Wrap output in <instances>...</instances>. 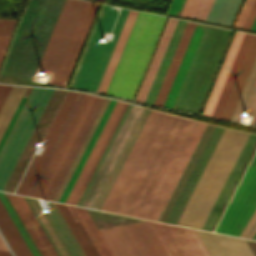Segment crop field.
<instances>
[{
  "mask_svg": "<svg viewBox=\"0 0 256 256\" xmlns=\"http://www.w3.org/2000/svg\"><path fill=\"white\" fill-rule=\"evenodd\" d=\"M12 85L0 84V108Z\"/></svg>",
  "mask_w": 256,
  "mask_h": 256,
  "instance_id": "42",
  "label": "crop field"
},
{
  "mask_svg": "<svg viewBox=\"0 0 256 256\" xmlns=\"http://www.w3.org/2000/svg\"><path fill=\"white\" fill-rule=\"evenodd\" d=\"M99 4L87 1L53 84L65 87Z\"/></svg>",
  "mask_w": 256,
  "mask_h": 256,
  "instance_id": "14",
  "label": "crop field"
},
{
  "mask_svg": "<svg viewBox=\"0 0 256 256\" xmlns=\"http://www.w3.org/2000/svg\"><path fill=\"white\" fill-rule=\"evenodd\" d=\"M250 30L256 31V18Z\"/></svg>",
  "mask_w": 256,
  "mask_h": 256,
  "instance_id": "47",
  "label": "crop field"
},
{
  "mask_svg": "<svg viewBox=\"0 0 256 256\" xmlns=\"http://www.w3.org/2000/svg\"><path fill=\"white\" fill-rule=\"evenodd\" d=\"M98 99H99V97L95 96V98H94V100H93V102H92V104H91V106H90V108H89V110H88L80 128H79V130L77 131V133H76V135H75V137H74V139H73V141H72V143H71V145H70V147H69V149H68V151H67V153H66V155H65V157L62 161V163L60 164V166H59V168H58V170H57V172H56V174H55V176H54V178H53V180H52V182H51V184H50V186H49V188H48V190H47V192L44 196L45 199H48V197H49V195H50V193H51V191H52V189H53V187H54V185H55V183H56V181H57V179H58V177H59V175H60V173H61V171L64 167V165L66 164V162H67V160H68V158H69V156H70V154H71V152H72V150H73L81 132L83 131V129L85 127V125H86V123H87V121H88V119H89V117H90Z\"/></svg>",
  "mask_w": 256,
  "mask_h": 256,
  "instance_id": "30",
  "label": "crop field"
},
{
  "mask_svg": "<svg viewBox=\"0 0 256 256\" xmlns=\"http://www.w3.org/2000/svg\"><path fill=\"white\" fill-rule=\"evenodd\" d=\"M226 129L207 125L159 221L180 223ZM248 133L227 129L180 225L201 229Z\"/></svg>",
  "mask_w": 256,
  "mask_h": 256,
  "instance_id": "2",
  "label": "crop field"
},
{
  "mask_svg": "<svg viewBox=\"0 0 256 256\" xmlns=\"http://www.w3.org/2000/svg\"><path fill=\"white\" fill-rule=\"evenodd\" d=\"M103 100H104V98L102 99V97H100V99H99V101H98V103H97V105H96V107H95V109H94V111H93L85 129H84V131L82 132V134H81V136H80V138H79V140H78V142H77V144H76V146H75L67 164L65 165V167H64V169H63V171H62V173H61V175H60V177H59V179H58V181H57V183H56V185H55V187H54V189H53V191H52V193L49 197L50 200H53V198H54V196H55V194H56V192H57V190H58V188H59V186H60L68 168H69V166L71 165V163H72V161H73V159H74V157H75V155H76V153H77V151H78L86 133L88 132V130L90 128V126H91V124H92V122H93V120H94V118H95Z\"/></svg>",
  "mask_w": 256,
  "mask_h": 256,
  "instance_id": "31",
  "label": "crop field"
},
{
  "mask_svg": "<svg viewBox=\"0 0 256 256\" xmlns=\"http://www.w3.org/2000/svg\"><path fill=\"white\" fill-rule=\"evenodd\" d=\"M128 11L121 10L112 31L115 33L112 43L102 44L99 40L104 31H111L117 11L110 6H101L69 86L97 90Z\"/></svg>",
  "mask_w": 256,
  "mask_h": 256,
  "instance_id": "7",
  "label": "crop field"
},
{
  "mask_svg": "<svg viewBox=\"0 0 256 256\" xmlns=\"http://www.w3.org/2000/svg\"><path fill=\"white\" fill-rule=\"evenodd\" d=\"M82 96H83V94L78 93V95H77V97H76V99H75V101H74V103H73V105H72V107H71V109H70V111H69V113H68V115H67V117H66V119L63 123V125H62V127L60 128V130H59V132H58V134H57V136H56V138H55V140H54V142H53V144H52V146H51V148H50V150H49V152H48V154L45 158V160L43 161V163H42V165H41V167H40L32 185H31L27 195L32 196V194H33V192H34V190H35V188H36V186H37V184H38V182H39V180H40V178H41V176H42V174H43V172H44V170H45V168L48 164V162L50 161V159H51V157H52V155H53V153H54V151H55V149H56L64 131H65V129L68 126V124H69V122H70V120H71V118H72V116H73V114H74Z\"/></svg>",
  "mask_w": 256,
  "mask_h": 256,
  "instance_id": "28",
  "label": "crop field"
},
{
  "mask_svg": "<svg viewBox=\"0 0 256 256\" xmlns=\"http://www.w3.org/2000/svg\"><path fill=\"white\" fill-rule=\"evenodd\" d=\"M255 16H256V0H254L253 2V5L249 11V14L242 28L249 30L254 21Z\"/></svg>",
  "mask_w": 256,
  "mask_h": 256,
  "instance_id": "40",
  "label": "crop field"
},
{
  "mask_svg": "<svg viewBox=\"0 0 256 256\" xmlns=\"http://www.w3.org/2000/svg\"><path fill=\"white\" fill-rule=\"evenodd\" d=\"M0 250H6L8 251L7 247L5 246L4 242L2 241L1 237H0Z\"/></svg>",
  "mask_w": 256,
  "mask_h": 256,
  "instance_id": "45",
  "label": "crop field"
},
{
  "mask_svg": "<svg viewBox=\"0 0 256 256\" xmlns=\"http://www.w3.org/2000/svg\"><path fill=\"white\" fill-rule=\"evenodd\" d=\"M138 12L130 10L97 91L105 93Z\"/></svg>",
  "mask_w": 256,
  "mask_h": 256,
  "instance_id": "22",
  "label": "crop field"
},
{
  "mask_svg": "<svg viewBox=\"0 0 256 256\" xmlns=\"http://www.w3.org/2000/svg\"><path fill=\"white\" fill-rule=\"evenodd\" d=\"M10 252L0 251V256H10Z\"/></svg>",
  "mask_w": 256,
  "mask_h": 256,
  "instance_id": "46",
  "label": "crop field"
},
{
  "mask_svg": "<svg viewBox=\"0 0 256 256\" xmlns=\"http://www.w3.org/2000/svg\"><path fill=\"white\" fill-rule=\"evenodd\" d=\"M205 127L151 110L101 209L158 221Z\"/></svg>",
  "mask_w": 256,
  "mask_h": 256,
  "instance_id": "1",
  "label": "crop field"
},
{
  "mask_svg": "<svg viewBox=\"0 0 256 256\" xmlns=\"http://www.w3.org/2000/svg\"><path fill=\"white\" fill-rule=\"evenodd\" d=\"M85 2L83 0H65L32 80L36 81L38 72L43 70L50 74L47 83H53Z\"/></svg>",
  "mask_w": 256,
  "mask_h": 256,
  "instance_id": "9",
  "label": "crop field"
},
{
  "mask_svg": "<svg viewBox=\"0 0 256 256\" xmlns=\"http://www.w3.org/2000/svg\"><path fill=\"white\" fill-rule=\"evenodd\" d=\"M196 24L188 22L154 105L162 107Z\"/></svg>",
  "mask_w": 256,
  "mask_h": 256,
  "instance_id": "19",
  "label": "crop field"
},
{
  "mask_svg": "<svg viewBox=\"0 0 256 256\" xmlns=\"http://www.w3.org/2000/svg\"><path fill=\"white\" fill-rule=\"evenodd\" d=\"M35 90H36V88L33 87V89L31 91L29 97L27 98V100H26V102H25V104H24V106H23V108H22V110H21V112H20V114H19V116H18V118H17V120H16V122H15V124H14V126H13V128H12V130H11V132H10L6 142H5V144H4V146H3V148L1 149V151H0V159H1L5 149L7 147L11 137L13 136V134H14V132H15V130H16V128H17V126H18V124H19V122H20V120H21V118H22V116H23V114H24V112H25V110H26V108H27V106H28L32 96H33V94H34V92H35Z\"/></svg>",
  "mask_w": 256,
  "mask_h": 256,
  "instance_id": "36",
  "label": "crop field"
},
{
  "mask_svg": "<svg viewBox=\"0 0 256 256\" xmlns=\"http://www.w3.org/2000/svg\"><path fill=\"white\" fill-rule=\"evenodd\" d=\"M25 198L28 201L33 212L35 213L36 217L38 218L40 224L45 230L47 236L49 237L59 256H100L93 243L91 242L90 238L88 237L87 233L85 232L84 228L82 227L80 223L81 221L87 232L89 233L91 239L93 240L94 244L96 245L101 256H113L101 234L99 233L98 229L96 228L95 224L93 223L92 219L90 218L89 214L87 213L86 209L72 206V208L81 220L79 222L71 206L67 205L75 221H78L75 222L66 205L55 203L62 216L64 217L66 223L68 224L69 228L71 229L72 233L74 234L75 238L77 239L78 243L80 244L81 248L83 249L85 253L84 255L82 249L80 248L79 244L77 243L76 239L74 238L73 234L65 223L54 202L48 203L49 207L52 210V212L48 214V216L51 219L56 230L58 231L59 235L61 236L69 252L71 253L70 255L60 236L52 225L50 219L48 218L47 214L42 211L37 199L28 197Z\"/></svg>",
  "mask_w": 256,
  "mask_h": 256,
  "instance_id": "3",
  "label": "crop field"
},
{
  "mask_svg": "<svg viewBox=\"0 0 256 256\" xmlns=\"http://www.w3.org/2000/svg\"><path fill=\"white\" fill-rule=\"evenodd\" d=\"M232 32L205 26L172 108L199 113Z\"/></svg>",
  "mask_w": 256,
  "mask_h": 256,
  "instance_id": "4",
  "label": "crop field"
},
{
  "mask_svg": "<svg viewBox=\"0 0 256 256\" xmlns=\"http://www.w3.org/2000/svg\"><path fill=\"white\" fill-rule=\"evenodd\" d=\"M242 0H214L205 21L230 26Z\"/></svg>",
  "mask_w": 256,
  "mask_h": 256,
  "instance_id": "26",
  "label": "crop field"
},
{
  "mask_svg": "<svg viewBox=\"0 0 256 256\" xmlns=\"http://www.w3.org/2000/svg\"><path fill=\"white\" fill-rule=\"evenodd\" d=\"M89 97H90V95L84 94V96H83V98H82V100H81V102H80V104H79V106H78V108H77V110H76L68 128L66 129V131H65V133H64V135H63V137H62V139H61V141H60V143H59L51 161L49 162V164H48V166H47V168H46V170H45V172H44V174H43V176H42V178H41V180H40V182H39V184H38V186H37V188H36V190L33 194V197H37V198L39 197V195H40V193H41V191H42V189H43V187H44V185H45V183H46V181H47V179H48V177H49V175H50V173H51V171H52V169L55 165V163L57 162V160H58V158H59V156H60V154H61V152H62V150H63L71 132H72V130L75 127V125H76V123H77V121H78V119H79V117H80V115H81Z\"/></svg>",
  "mask_w": 256,
  "mask_h": 256,
  "instance_id": "25",
  "label": "crop field"
},
{
  "mask_svg": "<svg viewBox=\"0 0 256 256\" xmlns=\"http://www.w3.org/2000/svg\"><path fill=\"white\" fill-rule=\"evenodd\" d=\"M244 33H235L202 115L210 117Z\"/></svg>",
  "mask_w": 256,
  "mask_h": 256,
  "instance_id": "21",
  "label": "crop field"
},
{
  "mask_svg": "<svg viewBox=\"0 0 256 256\" xmlns=\"http://www.w3.org/2000/svg\"><path fill=\"white\" fill-rule=\"evenodd\" d=\"M173 1H172V3H173ZM184 2H185V0H175L174 3H173V6H172V3H171L167 13L169 12V10H170V8L172 6V8H171L169 13L178 16L180 11H181V9H182V7H183Z\"/></svg>",
  "mask_w": 256,
  "mask_h": 256,
  "instance_id": "41",
  "label": "crop field"
},
{
  "mask_svg": "<svg viewBox=\"0 0 256 256\" xmlns=\"http://www.w3.org/2000/svg\"><path fill=\"white\" fill-rule=\"evenodd\" d=\"M256 219V210L254 212V214L252 215V217L250 218V220L248 221L247 225L245 226V228L243 229L242 233L240 234V236L245 237V235L247 234L248 230L250 229V227L252 226L253 222Z\"/></svg>",
  "mask_w": 256,
  "mask_h": 256,
  "instance_id": "44",
  "label": "crop field"
},
{
  "mask_svg": "<svg viewBox=\"0 0 256 256\" xmlns=\"http://www.w3.org/2000/svg\"><path fill=\"white\" fill-rule=\"evenodd\" d=\"M255 232H256V228H255V230L253 231V233L251 234L250 239H252V237L254 236Z\"/></svg>",
  "mask_w": 256,
  "mask_h": 256,
  "instance_id": "49",
  "label": "crop field"
},
{
  "mask_svg": "<svg viewBox=\"0 0 256 256\" xmlns=\"http://www.w3.org/2000/svg\"><path fill=\"white\" fill-rule=\"evenodd\" d=\"M126 106H127V104L125 103L123 108H122V110H121V112H120V114H119V116H118V118H117V120H116V122H115V124H114V126H113V128H112V130H111V132H110V134H109V136L107 137V139H106V141H105V143H104L100 153L98 154V156H97V158H96V160H95L91 170L89 171V173H88V175H87V177H86L82 187L80 188V190H79V192H78V194H77V196H76V198H75V200L73 202L74 205H76V203H77V201H78V199H79V197H80V195H81V193H82V191H83L87 181L89 180V178H90V176H91V174H92V172H93V170H94V168H95V166H96V164H97L101 154L103 153V151H104V149H105V147H106V145H107V143H108V141H109V139H110L114 129L116 128V126H117V124H118V122H119V120H120V118H121V116H122Z\"/></svg>",
  "mask_w": 256,
  "mask_h": 256,
  "instance_id": "35",
  "label": "crop field"
},
{
  "mask_svg": "<svg viewBox=\"0 0 256 256\" xmlns=\"http://www.w3.org/2000/svg\"><path fill=\"white\" fill-rule=\"evenodd\" d=\"M54 89L37 88L13 138L0 161V190H3Z\"/></svg>",
  "mask_w": 256,
  "mask_h": 256,
  "instance_id": "11",
  "label": "crop field"
},
{
  "mask_svg": "<svg viewBox=\"0 0 256 256\" xmlns=\"http://www.w3.org/2000/svg\"><path fill=\"white\" fill-rule=\"evenodd\" d=\"M169 256H253L242 238L150 222Z\"/></svg>",
  "mask_w": 256,
  "mask_h": 256,
  "instance_id": "6",
  "label": "crop field"
},
{
  "mask_svg": "<svg viewBox=\"0 0 256 256\" xmlns=\"http://www.w3.org/2000/svg\"><path fill=\"white\" fill-rule=\"evenodd\" d=\"M7 197V196H6ZM5 197L4 193L0 192V200L3 203L4 207L6 208L8 214L10 215L11 219L13 220L14 224L16 225L18 231L20 232L21 236L23 237L25 243L27 244L28 248L30 249L33 256H40L39 252L37 251L36 247L34 246L33 242L30 239V235L28 236L26 230L24 229L23 225L21 224L20 220L17 217V213L15 214L14 208L12 209L10 203L8 202L7 198Z\"/></svg>",
  "mask_w": 256,
  "mask_h": 256,
  "instance_id": "32",
  "label": "crop field"
},
{
  "mask_svg": "<svg viewBox=\"0 0 256 256\" xmlns=\"http://www.w3.org/2000/svg\"><path fill=\"white\" fill-rule=\"evenodd\" d=\"M122 105H123V103L118 102V101L114 105V107H113V109H112V111H111V113H110L102 131L100 132V134H99V136H98V138H97V140H96L88 158L86 159V161H85V163H84V165H83L75 183L73 184V186H72V188H71V190H70V192H69V194H68V196L65 200L66 203L72 204V202H73L80 186L82 185L90 167L92 166L100 148L102 147V145H103V143H104V141H105V139H106V137H107V135H108V133H109V131H110V129H111V127H112V125H113L121 107H122Z\"/></svg>",
  "mask_w": 256,
  "mask_h": 256,
  "instance_id": "18",
  "label": "crop field"
},
{
  "mask_svg": "<svg viewBox=\"0 0 256 256\" xmlns=\"http://www.w3.org/2000/svg\"><path fill=\"white\" fill-rule=\"evenodd\" d=\"M256 146V135L249 134L226 182L224 183L202 229L212 231L227 203L251 153Z\"/></svg>",
  "mask_w": 256,
  "mask_h": 256,
  "instance_id": "15",
  "label": "crop field"
},
{
  "mask_svg": "<svg viewBox=\"0 0 256 256\" xmlns=\"http://www.w3.org/2000/svg\"><path fill=\"white\" fill-rule=\"evenodd\" d=\"M93 98H94V96L91 95V97H90V99H89V101H88V103H87V105H86V107H85V109H84V111H83V113H82V115H81V117H80V119H79V121H78V123H77V125H76V127L74 129V131H73V133H72V135L70 136V138H69V140H68V142H67V144H66V146H65V148H64V150H63V152H62V154H61V156H60V158H59V160H58V162H57V164H56V166H55V168H54V170H53V172H52V174H51V176L49 178V180H48V182H51V180H52V178H53V176H54V174H55V172H56V170H57V168H58V166H59V164H60L64 154L66 153V151H67V149H68V147H69V145H70V143H71V141H72V139H73V137H74L78 127H79V125L81 124V122H82V120H83V118L85 116V114H86V112H87V110H88V108H89ZM48 185H49V183H46V185H45V187H44V189H43V191H42V193L40 195L41 198L43 197V195H44Z\"/></svg>",
  "mask_w": 256,
  "mask_h": 256,
  "instance_id": "34",
  "label": "crop field"
},
{
  "mask_svg": "<svg viewBox=\"0 0 256 256\" xmlns=\"http://www.w3.org/2000/svg\"><path fill=\"white\" fill-rule=\"evenodd\" d=\"M26 87L12 86L0 110V139L25 91Z\"/></svg>",
  "mask_w": 256,
  "mask_h": 256,
  "instance_id": "27",
  "label": "crop field"
},
{
  "mask_svg": "<svg viewBox=\"0 0 256 256\" xmlns=\"http://www.w3.org/2000/svg\"><path fill=\"white\" fill-rule=\"evenodd\" d=\"M251 163L256 164V154H255V156H254V158H253Z\"/></svg>",
  "mask_w": 256,
  "mask_h": 256,
  "instance_id": "48",
  "label": "crop field"
},
{
  "mask_svg": "<svg viewBox=\"0 0 256 256\" xmlns=\"http://www.w3.org/2000/svg\"><path fill=\"white\" fill-rule=\"evenodd\" d=\"M256 209V166L249 165L216 232L239 236Z\"/></svg>",
  "mask_w": 256,
  "mask_h": 256,
  "instance_id": "12",
  "label": "crop field"
},
{
  "mask_svg": "<svg viewBox=\"0 0 256 256\" xmlns=\"http://www.w3.org/2000/svg\"><path fill=\"white\" fill-rule=\"evenodd\" d=\"M177 20L169 18L135 101L143 103Z\"/></svg>",
  "mask_w": 256,
  "mask_h": 256,
  "instance_id": "20",
  "label": "crop field"
},
{
  "mask_svg": "<svg viewBox=\"0 0 256 256\" xmlns=\"http://www.w3.org/2000/svg\"><path fill=\"white\" fill-rule=\"evenodd\" d=\"M255 55L256 35L245 33L211 117L230 119Z\"/></svg>",
  "mask_w": 256,
  "mask_h": 256,
  "instance_id": "10",
  "label": "crop field"
},
{
  "mask_svg": "<svg viewBox=\"0 0 256 256\" xmlns=\"http://www.w3.org/2000/svg\"><path fill=\"white\" fill-rule=\"evenodd\" d=\"M65 91L54 90L39 122L37 123L21 157L19 158L4 190L13 192L20 176L22 175L37 143H39L64 95Z\"/></svg>",
  "mask_w": 256,
  "mask_h": 256,
  "instance_id": "13",
  "label": "crop field"
},
{
  "mask_svg": "<svg viewBox=\"0 0 256 256\" xmlns=\"http://www.w3.org/2000/svg\"><path fill=\"white\" fill-rule=\"evenodd\" d=\"M165 19L138 13L106 93L133 98Z\"/></svg>",
  "mask_w": 256,
  "mask_h": 256,
  "instance_id": "5",
  "label": "crop field"
},
{
  "mask_svg": "<svg viewBox=\"0 0 256 256\" xmlns=\"http://www.w3.org/2000/svg\"><path fill=\"white\" fill-rule=\"evenodd\" d=\"M205 25L197 24L163 107L171 108Z\"/></svg>",
  "mask_w": 256,
  "mask_h": 256,
  "instance_id": "23",
  "label": "crop field"
},
{
  "mask_svg": "<svg viewBox=\"0 0 256 256\" xmlns=\"http://www.w3.org/2000/svg\"><path fill=\"white\" fill-rule=\"evenodd\" d=\"M255 237H256V234H255V236L253 237V239H255Z\"/></svg>",
  "mask_w": 256,
  "mask_h": 256,
  "instance_id": "50",
  "label": "crop field"
},
{
  "mask_svg": "<svg viewBox=\"0 0 256 256\" xmlns=\"http://www.w3.org/2000/svg\"><path fill=\"white\" fill-rule=\"evenodd\" d=\"M249 3H250V0H245L243 6H242V8H241V11H240V13H239V15H238V17H237V20H236V22H235V24H234L233 27H236V28L239 27V25H240V23H241V21H242V18H243V16H244L245 12H246V9H247Z\"/></svg>",
  "mask_w": 256,
  "mask_h": 256,
  "instance_id": "43",
  "label": "crop field"
},
{
  "mask_svg": "<svg viewBox=\"0 0 256 256\" xmlns=\"http://www.w3.org/2000/svg\"><path fill=\"white\" fill-rule=\"evenodd\" d=\"M16 20L0 19V62Z\"/></svg>",
  "mask_w": 256,
  "mask_h": 256,
  "instance_id": "33",
  "label": "crop field"
},
{
  "mask_svg": "<svg viewBox=\"0 0 256 256\" xmlns=\"http://www.w3.org/2000/svg\"><path fill=\"white\" fill-rule=\"evenodd\" d=\"M114 103H115V101L110 100V102H109V104H108V106H107V108H106V110H105V112H104V114H103V116H102V118H101V120H100V122H99V124H98V126H97V128H96V130H95V132H94V134H93V136H92L88 146H87V148H86V150L84 151V153H83V155H82V157H81V159H80V161H79V163H78V165H77V167H76V169H75V171H74V173H73V175H72V177H71V179H70V181H69V183H68V185H67V187H66V189H65V191H64V193H63V195L61 197V199H60L61 202H64V200H65V198H66V196H67V194H68V192H69V190H70V188H71V186H72V184H73L77 174L79 173V171H80V169H81V167H82V165H83V163H84V161H85L89 151L91 150V148H92V146H93V144H94V142H95V140H96V138H97V136H98V134H99V132H100V130L102 128V126L104 125V123H105V121H106V119H107V117H108V115H109V113H110Z\"/></svg>",
  "mask_w": 256,
  "mask_h": 256,
  "instance_id": "29",
  "label": "crop field"
},
{
  "mask_svg": "<svg viewBox=\"0 0 256 256\" xmlns=\"http://www.w3.org/2000/svg\"><path fill=\"white\" fill-rule=\"evenodd\" d=\"M100 232L114 256H168L148 221Z\"/></svg>",
  "mask_w": 256,
  "mask_h": 256,
  "instance_id": "8",
  "label": "crop field"
},
{
  "mask_svg": "<svg viewBox=\"0 0 256 256\" xmlns=\"http://www.w3.org/2000/svg\"><path fill=\"white\" fill-rule=\"evenodd\" d=\"M77 93H73V92H67L45 138L43 141H45L47 143L41 157L35 156L27 174L25 175L17 193L18 194H23L26 195L42 161L44 160L59 128L61 127L75 97H76Z\"/></svg>",
  "mask_w": 256,
  "mask_h": 256,
  "instance_id": "17",
  "label": "crop field"
},
{
  "mask_svg": "<svg viewBox=\"0 0 256 256\" xmlns=\"http://www.w3.org/2000/svg\"><path fill=\"white\" fill-rule=\"evenodd\" d=\"M0 230L16 256H32L1 202Z\"/></svg>",
  "mask_w": 256,
  "mask_h": 256,
  "instance_id": "24",
  "label": "crop field"
},
{
  "mask_svg": "<svg viewBox=\"0 0 256 256\" xmlns=\"http://www.w3.org/2000/svg\"><path fill=\"white\" fill-rule=\"evenodd\" d=\"M41 256H58L24 197L6 194Z\"/></svg>",
  "mask_w": 256,
  "mask_h": 256,
  "instance_id": "16",
  "label": "crop field"
},
{
  "mask_svg": "<svg viewBox=\"0 0 256 256\" xmlns=\"http://www.w3.org/2000/svg\"><path fill=\"white\" fill-rule=\"evenodd\" d=\"M31 89H32V87H28V89H27L23 99L21 100L17 110L15 111V113H14V115H13V117H12V119H11V121H10V123H9V125H8V127H7V129H6L5 133H4L1 141H0V149H1L2 145L4 144V142H5L6 138H7L8 134H9V132H10V130H11V128H12V126H13V124H14V122H15V120H16V118H17V116H18V114H19V112H20V110H21V108H22V106H23L27 96H28V94L31 91Z\"/></svg>",
  "mask_w": 256,
  "mask_h": 256,
  "instance_id": "38",
  "label": "crop field"
},
{
  "mask_svg": "<svg viewBox=\"0 0 256 256\" xmlns=\"http://www.w3.org/2000/svg\"><path fill=\"white\" fill-rule=\"evenodd\" d=\"M212 3L213 0H200L192 18L204 21Z\"/></svg>",
  "mask_w": 256,
  "mask_h": 256,
  "instance_id": "37",
  "label": "crop field"
},
{
  "mask_svg": "<svg viewBox=\"0 0 256 256\" xmlns=\"http://www.w3.org/2000/svg\"><path fill=\"white\" fill-rule=\"evenodd\" d=\"M199 0H186L179 16L191 18Z\"/></svg>",
  "mask_w": 256,
  "mask_h": 256,
  "instance_id": "39",
  "label": "crop field"
}]
</instances>
